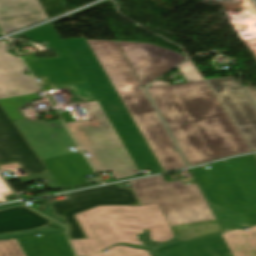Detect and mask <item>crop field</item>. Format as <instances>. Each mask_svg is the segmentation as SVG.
Masks as SVG:
<instances>
[{"label": "crop field", "instance_id": "412701ff", "mask_svg": "<svg viewBox=\"0 0 256 256\" xmlns=\"http://www.w3.org/2000/svg\"><path fill=\"white\" fill-rule=\"evenodd\" d=\"M75 217L88 238L70 240L77 256L93 254L119 241L138 243L136 229L145 230L144 236L149 244L173 237L158 204L98 206Z\"/></svg>", "mask_w": 256, "mask_h": 256}, {"label": "crop field", "instance_id": "730fd06b", "mask_svg": "<svg viewBox=\"0 0 256 256\" xmlns=\"http://www.w3.org/2000/svg\"><path fill=\"white\" fill-rule=\"evenodd\" d=\"M17 205H21V203H20V202H16V203H11V204L2 205V206H0V209L12 207V206H17Z\"/></svg>", "mask_w": 256, "mask_h": 256}, {"label": "crop field", "instance_id": "a9b5d70f", "mask_svg": "<svg viewBox=\"0 0 256 256\" xmlns=\"http://www.w3.org/2000/svg\"><path fill=\"white\" fill-rule=\"evenodd\" d=\"M10 191L9 187L5 185L2 177L0 176V193ZM7 200L0 194V203L6 202Z\"/></svg>", "mask_w": 256, "mask_h": 256}, {"label": "crop field", "instance_id": "e52e79f7", "mask_svg": "<svg viewBox=\"0 0 256 256\" xmlns=\"http://www.w3.org/2000/svg\"><path fill=\"white\" fill-rule=\"evenodd\" d=\"M92 92L99 101L138 170L162 172L143 136L128 114L103 69L83 38L62 40Z\"/></svg>", "mask_w": 256, "mask_h": 256}, {"label": "crop field", "instance_id": "5142ce71", "mask_svg": "<svg viewBox=\"0 0 256 256\" xmlns=\"http://www.w3.org/2000/svg\"><path fill=\"white\" fill-rule=\"evenodd\" d=\"M46 18L38 0H0V26L5 34Z\"/></svg>", "mask_w": 256, "mask_h": 256}, {"label": "crop field", "instance_id": "dafd665d", "mask_svg": "<svg viewBox=\"0 0 256 256\" xmlns=\"http://www.w3.org/2000/svg\"><path fill=\"white\" fill-rule=\"evenodd\" d=\"M0 256H25V254L16 240H1Z\"/></svg>", "mask_w": 256, "mask_h": 256}, {"label": "crop field", "instance_id": "28ad6ade", "mask_svg": "<svg viewBox=\"0 0 256 256\" xmlns=\"http://www.w3.org/2000/svg\"><path fill=\"white\" fill-rule=\"evenodd\" d=\"M142 86L185 60V56L152 44L118 41Z\"/></svg>", "mask_w": 256, "mask_h": 256}, {"label": "crop field", "instance_id": "34b2d1b8", "mask_svg": "<svg viewBox=\"0 0 256 256\" xmlns=\"http://www.w3.org/2000/svg\"><path fill=\"white\" fill-rule=\"evenodd\" d=\"M86 42L164 171L186 167L179 153L172 150L173 142L144 90H137L136 86L141 84L117 41L86 40Z\"/></svg>", "mask_w": 256, "mask_h": 256}, {"label": "crop field", "instance_id": "f4fd0767", "mask_svg": "<svg viewBox=\"0 0 256 256\" xmlns=\"http://www.w3.org/2000/svg\"><path fill=\"white\" fill-rule=\"evenodd\" d=\"M69 88L74 97L80 98L88 118L79 119L75 111L60 114L96 171L109 170L115 180L133 176L137 168L92 94L87 83L53 88Z\"/></svg>", "mask_w": 256, "mask_h": 256}, {"label": "crop field", "instance_id": "8a807250", "mask_svg": "<svg viewBox=\"0 0 256 256\" xmlns=\"http://www.w3.org/2000/svg\"><path fill=\"white\" fill-rule=\"evenodd\" d=\"M147 90L190 166L252 151L205 80Z\"/></svg>", "mask_w": 256, "mask_h": 256}, {"label": "crop field", "instance_id": "733c2abd", "mask_svg": "<svg viewBox=\"0 0 256 256\" xmlns=\"http://www.w3.org/2000/svg\"><path fill=\"white\" fill-rule=\"evenodd\" d=\"M17 240L27 256H74L65 233L25 237Z\"/></svg>", "mask_w": 256, "mask_h": 256}, {"label": "crop field", "instance_id": "4a817a6b", "mask_svg": "<svg viewBox=\"0 0 256 256\" xmlns=\"http://www.w3.org/2000/svg\"><path fill=\"white\" fill-rule=\"evenodd\" d=\"M163 252L170 256H232L221 234L186 241Z\"/></svg>", "mask_w": 256, "mask_h": 256}, {"label": "crop field", "instance_id": "214f88e0", "mask_svg": "<svg viewBox=\"0 0 256 256\" xmlns=\"http://www.w3.org/2000/svg\"><path fill=\"white\" fill-rule=\"evenodd\" d=\"M223 234L233 256H256V227Z\"/></svg>", "mask_w": 256, "mask_h": 256}, {"label": "crop field", "instance_id": "5a996713", "mask_svg": "<svg viewBox=\"0 0 256 256\" xmlns=\"http://www.w3.org/2000/svg\"><path fill=\"white\" fill-rule=\"evenodd\" d=\"M25 35L36 42L46 41L59 57L25 61L35 78L44 77L49 87L85 82L51 23L25 32Z\"/></svg>", "mask_w": 256, "mask_h": 256}, {"label": "crop field", "instance_id": "eef30255", "mask_svg": "<svg viewBox=\"0 0 256 256\" xmlns=\"http://www.w3.org/2000/svg\"><path fill=\"white\" fill-rule=\"evenodd\" d=\"M170 83H164L163 81H157L150 86L169 85Z\"/></svg>", "mask_w": 256, "mask_h": 256}, {"label": "crop field", "instance_id": "ac0d7876", "mask_svg": "<svg viewBox=\"0 0 256 256\" xmlns=\"http://www.w3.org/2000/svg\"><path fill=\"white\" fill-rule=\"evenodd\" d=\"M190 172L223 232L256 226V156H242Z\"/></svg>", "mask_w": 256, "mask_h": 256}, {"label": "crop field", "instance_id": "dd49c442", "mask_svg": "<svg viewBox=\"0 0 256 256\" xmlns=\"http://www.w3.org/2000/svg\"><path fill=\"white\" fill-rule=\"evenodd\" d=\"M130 184L142 205L159 204L179 240L222 232L197 184L166 183L162 175Z\"/></svg>", "mask_w": 256, "mask_h": 256}, {"label": "crop field", "instance_id": "ae1a2a85", "mask_svg": "<svg viewBox=\"0 0 256 256\" xmlns=\"http://www.w3.org/2000/svg\"><path fill=\"white\" fill-rule=\"evenodd\" d=\"M0 35H2L1 31H0Z\"/></svg>", "mask_w": 256, "mask_h": 256}, {"label": "crop field", "instance_id": "3316defc", "mask_svg": "<svg viewBox=\"0 0 256 256\" xmlns=\"http://www.w3.org/2000/svg\"><path fill=\"white\" fill-rule=\"evenodd\" d=\"M253 151H256V107L234 76L205 79Z\"/></svg>", "mask_w": 256, "mask_h": 256}, {"label": "crop field", "instance_id": "4177f3b9", "mask_svg": "<svg viewBox=\"0 0 256 256\" xmlns=\"http://www.w3.org/2000/svg\"><path fill=\"white\" fill-rule=\"evenodd\" d=\"M254 101L256 102V87H246Z\"/></svg>", "mask_w": 256, "mask_h": 256}, {"label": "crop field", "instance_id": "cbeb9de0", "mask_svg": "<svg viewBox=\"0 0 256 256\" xmlns=\"http://www.w3.org/2000/svg\"><path fill=\"white\" fill-rule=\"evenodd\" d=\"M43 162L62 188L86 185L88 183L83 176L93 173L79 152L50 157L43 159Z\"/></svg>", "mask_w": 256, "mask_h": 256}, {"label": "crop field", "instance_id": "d1516ede", "mask_svg": "<svg viewBox=\"0 0 256 256\" xmlns=\"http://www.w3.org/2000/svg\"><path fill=\"white\" fill-rule=\"evenodd\" d=\"M15 123L41 159L70 152L68 147L75 146L60 120L46 123L26 118Z\"/></svg>", "mask_w": 256, "mask_h": 256}, {"label": "crop field", "instance_id": "d9b57169", "mask_svg": "<svg viewBox=\"0 0 256 256\" xmlns=\"http://www.w3.org/2000/svg\"><path fill=\"white\" fill-rule=\"evenodd\" d=\"M7 42H0V95L36 90L38 87L20 59L6 49Z\"/></svg>", "mask_w": 256, "mask_h": 256}, {"label": "crop field", "instance_id": "92a150f3", "mask_svg": "<svg viewBox=\"0 0 256 256\" xmlns=\"http://www.w3.org/2000/svg\"><path fill=\"white\" fill-rule=\"evenodd\" d=\"M109 253H99L93 256H148V251L132 249L125 246H115L108 249Z\"/></svg>", "mask_w": 256, "mask_h": 256}, {"label": "crop field", "instance_id": "22f410ed", "mask_svg": "<svg viewBox=\"0 0 256 256\" xmlns=\"http://www.w3.org/2000/svg\"><path fill=\"white\" fill-rule=\"evenodd\" d=\"M18 161L27 175L47 172L0 104V164Z\"/></svg>", "mask_w": 256, "mask_h": 256}, {"label": "crop field", "instance_id": "00972430", "mask_svg": "<svg viewBox=\"0 0 256 256\" xmlns=\"http://www.w3.org/2000/svg\"><path fill=\"white\" fill-rule=\"evenodd\" d=\"M179 68L183 73L184 77L186 78L187 82L202 80L201 75L197 71L191 59L179 66Z\"/></svg>", "mask_w": 256, "mask_h": 256}, {"label": "crop field", "instance_id": "bc2a9ffb", "mask_svg": "<svg viewBox=\"0 0 256 256\" xmlns=\"http://www.w3.org/2000/svg\"><path fill=\"white\" fill-rule=\"evenodd\" d=\"M50 220L24 205L0 210V234L41 227Z\"/></svg>", "mask_w": 256, "mask_h": 256}, {"label": "crop field", "instance_id": "d8731c3e", "mask_svg": "<svg viewBox=\"0 0 256 256\" xmlns=\"http://www.w3.org/2000/svg\"><path fill=\"white\" fill-rule=\"evenodd\" d=\"M69 199L51 204L56 215L66 218L69 238H86L74 214L98 205H140L132 188L120 189L118 184L68 194Z\"/></svg>", "mask_w": 256, "mask_h": 256}]
</instances>
